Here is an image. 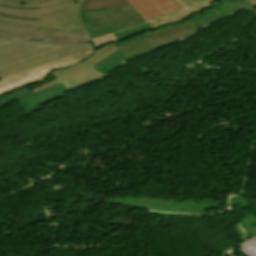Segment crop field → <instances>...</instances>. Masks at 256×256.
Returning a JSON list of instances; mask_svg holds the SVG:
<instances>
[{
    "label": "crop field",
    "mask_w": 256,
    "mask_h": 256,
    "mask_svg": "<svg viewBox=\"0 0 256 256\" xmlns=\"http://www.w3.org/2000/svg\"><path fill=\"white\" fill-rule=\"evenodd\" d=\"M94 50V49H93ZM93 50H89L71 57H67L37 68H33L3 79H0V95L24 86L26 84L41 81L54 68L64 67L79 62L89 56Z\"/></svg>",
    "instance_id": "f4fd0767"
},
{
    "label": "crop field",
    "mask_w": 256,
    "mask_h": 256,
    "mask_svg": "<svg viewBox=\"0 0 256 256\" xmlns=\"http://www.w3.org/2000/svg\"><path fill=\"white\" fill-rule=\"evenodd\" d=\"M68 91L61 83L57 86L47 88L39 93L33 94L31 88L27 86L14 90V94L0 99V106L18 99L25 110L31 109L43 102L54 99Z\"/></svg>",
    "instance_id": "dd49c442"
},
{
    "label": "crop field",
    "mask_w": 256,
    "mask_h": 256,
    "mask_svg": "<svg viewBox=\"0 0 256 256\" xmlns=\"http://www.w3.org/2000/svg\"><path fill=\"white\" fill-rule=\"evenodd\" d=\"M83 0H0V19L52 29L85 30Z\"/></svg>",
    "instance_id": "ac0d7876"
},
{
    "label": "crop field",
    "mask_w": 256,
    "mask_h": 256,
    "mask_svg": "<svg viewBox=\"0 0 256 256\" xmlns=\"http://www.w3.org/2000/svg\"><path fill=\"white\" fill-rule=\"evenodd\" d=\"M250 6H252V4L249 0H239L191 23V25L196 30L197 28L205 26L223 16L229 15L240 9L247 8Z\"/></svg>",
    "instance_id": "d8731c3e"
},
{
    "label": "crop field",
    "mask_w": 256,
    "mask_h": 256,
    "mask_svg": "<svg viewBox=\"0 0 256 256\" xmlns=\"http://www.w3.org/2000/svg\"><path fill=\"white\" fill-rule=\"evenodd\" d=\"M92 42H93V44L95 46V49H96L97 47L107 45V44H111L113 42H117V40L115 39L113 34H111V35H107V36H103V37H100V38L93 39Z\"/></svg>",
    "instance_id": "5142ce71"
},
{
    "label": "crop field",
    "mask_w": 256,
    "mask_h": 256,
    "mask_svg": "<svg viewBox=\"0 0 256 256\" xmlns=\"http://www.w3.org/2000/svg\"><path fill=\"white\" fill-rule=\"evenodd\" d=\"M253 5H256V0H250Z\"/></svg>",
    "instance_id": "4a817a6b"
},
{
    "label": "crop field",
    "mask_w": 256,
    "mask_h": 256,
    "mask_svg": "<svg viewBox=\"0 0 256 256\" xmlns=\"http://www.w3.org/2000/svg\"><path fill=\"white\" fill-rule=\"evenodd\" d=\"M234 1H237V0H221L217 3H213V8L212 9L205 10V11H203L202 14L194 15L190 20H188V22L190 23V22H192V21H194V20H196V19H198V18H200V17H202L206 14H209V13H211V12H213V11L223 7V6H226V5H228V4H230Z\"/></svg>",
    "instance_id": "cbeb9de0"
},
{
    "label": "crop field",
    "mask_w": 256,
    "mask_h": 256,
    "mask_svg": "<svg viewBox=\"0 0 256 256\" xmlns=\"http://www.w3.org/2000/svg\"><path fill=\"white\" fill-rule=\"evenodd\" d=\"M146 21L185 9L177 0H126Z\"/></svg>",
    "instance_id": "e52e79f7"
},
{
    "label": "crop field",
    "mask_w": 256,
    "mask_h": 256,
    "mask_svg": "<svg viewBox=\"0 0 256 256\" xmlns=\"http://www.w3.org/2000/svg\"><path fill=\"white\" fill-rule=\"evenodd\" d=\"M117 50L113 44L100 47L86 59L69 67L58 68L51 72L58 80L32 90L34 93L62 82L68 90L71 88L101 78L99 72L91 66Z\"/></svg>",
    "instance_id": "412701ff"
},
{
    "label": "crop field",
    "mask_w": 256,
    "mask_h": 256,
    "mask_svg": "<svg viewBox=\"0 0 256 256\" xmlns=\"http://www.w3.org/2000/svg\"><path fill=\"white\" fill-rule=\"evenodd\" d=\"M144 36H146V35L144 33H142V34L137 35L135 37L124 40L120 43H114V45L116 46V48L118 50L115 51L114 53H112L111 55H109L108 57H106L105 59L101 60L100 62H98L97 64H95L92 67H94L96 70H98L103 75L106 74L108 71H110L112 68H114L117 64L127 60L118 46H120L122 44H125V43H128L130 41L136 40L138 38L144 37Z\"/></svg>",
    "instance_id": "5a996713"
},
{
    "label": "crop field",
    "mask_w": 256,
    "mask_h": 256,
    "mask_svg": "<svg viewBox=\"0 0 256 256\" xmlns=\"http://www.w3.org/2000/svg\"><path fill=\"white\" fill-rule=\"evenodd\" d=\"M93 48L87 31L39 29L0 21V78Z\"/></svg>",
    "instance_id": "8a807250"
},
{
    "label": "crop field",
    "mask_w": 256,
    "mask_h": 256,
    "mask_svg": "<svg viewBox=\"0 0 256 256\" xmlns=\"http://www.w3.org/2000/svg\"><path fill=\"white\" fill-rule=\"evenodd\" d=\"M158 47L155 43H153L148 36L138 39L136 41L130 42L128 44H125L123 46H120V49L125 54L127 59L138 55L145 53L147 51H150L154 48Z\"/></svg>",
    "instance_id": "3316defc"
},
{
    "label": "crop field",
    "mask_w": 256,
    "mask_h": 256,
    "mask_svg": "<svg viewBox=\"0 0 256 256\" xmlns=\"http://www.w3.org/2000/svg\"><path fill=\"white\" fill-rule=\"evenodd\" d=\"M185 7H191L203 0H179Z\"/></svg>",
    "instance_id": "733c2abd"
},
{
    "label": "crop field",
    "mask_w": 256,
    "mask_h": 256,
    "mask_svg": "<svg viewBox=\"0 0 256 256\" xmlns=\"http://www.w3.org/2000/svg\"><path fill=\"white\" fill-rule=\"evenodd\" d=\"M194 29L190 24L185 25L183 27L171 30L169 32L160 34L156 37L151 38L153 42H155L158 46L168 44L170 42L176 41L178 39H181L187 35H189L191 32H193ZM192 34V33H191Z\"/></svg>",
    "instance_id": "28ad6ade"
},
{
    "label": "crop field",
    "mask_w": 256,
    "mask_h": 256,
    "mask_svg": "<svg viewBox=\"0 0 256 256\" xmlns=\"http://www.w3.org/2000/svg\"><path fill=\"white\" fill-rule=\"evenodd\" d=\"M147 30H154V29L150 24L145 23V24H142V25H139V26H136V27L118 32V33H114V36L116 37V39L119 42V41H122L124 39L129 38V37H132V36H135V35L140 34L142 32H145Z\"/></svg>",
    "instance_id": "22f410ed"
},
{
    "label": "crop field",
    "mask_w": 256,
    "mask_h": 256,
    "mask_svg": "<svg viewBox=\"0 0 256 256\" xmlns=\"http://www.w3.org/2000/svg\"><path fill=\"white\" fill-rule=\"evenodd\" d=\"M125 0H84L81 10H100L125 5Z\"/></svg>",
    "instance_id": "d1516ede"
},
{
    "label": "crop field",
    "mask_w": 256,
    "mask_h": 256,
    "mask_svg": "<svg viewBox=\"0 0 256 256\" xmlns=\"http://www.w3.org/2000/svg\"><path fill=\"white\" fill-rule=\"evenodd\" d=\"M185 24H188V22L186 21V22L181 23V24L166 26V27L161 28V29H159V30H157V31H147V32H145V33L149 36V38H151V37H153V36H155V35H158V34H160V33L166 32V31H168V30H171V29L180 27V26L185 25Z\"/></svg>",
    "instance_id": "d9b57169"
},
{
    "label": "crop field",
    "mask_w": 256,
    "mask_h": 256,
    "mask_svg": "<svg viewBox=\"0 0 256 256\" xmlns=\"http://www.w3.org/2000/svg\"><path fill=\"white\" fill-rule=\"evenodd\" d=\"M82 13L92 38L146 22L129 4L101 11H82Z\"/></svg>",
    "instance_id": "34b2d1b8"
}]
</instances>
